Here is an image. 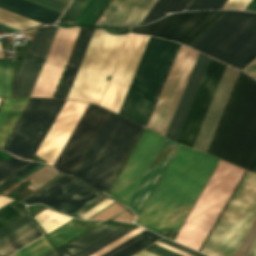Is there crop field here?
Listing matches in <instances>:
<instances>
[{
    "instance_id": "obj_57",
    "label": "crop field",
    "mask_w": 256,
    "mask_h": 256,
    "mask_svg": "<svg viewBox=\"0 0 256 256\" xmlns=\"http://www.w3.org/2000/svg\"><path fill=\"white\" fill-rule=\"evenodd\" d=\"M0 25L3 26V27H6V28H8V29H11V30H13V31H18L17 29H15V28H13V27H11V26L5 25V24H3V23H0Z\"/></svg>"
},
{
    "instance_id": "obj_61",
    "label": "crop field",
    "mask_w": 256,
    "mask_h": 256,
    "mask_svg": "<svg viewBox=\"0 0 256 256\" xmlns=\"http://www.w3.org/2000/svg\"><path fill=\"white\" fill-rule=\"evenodd\" d=\"M1 99V98H0Z\"/></svg>"
},
{
    "instance_id": "obj_60",
    "label": "crop field",
    "mask_w": 256,
    "mask_h": 256,
    "mask_svg": "<svg viewBox=\"0 0 256 256\" xmlns=\"http://www.w3.org/2000/svg\"><path fill=\"white\" fill-rule=\"evenodd\" d=\"M3 99H4V98H2V99H1V101H0V105H1V103H2V101H3Z\"/></svg>"
},
{
    "instance_id": "obj_41",
    "label": "crop field",
    "mask_w": 256,
    "mask_h": 256,
    "mask_svg": "<svg viewBox=\"0 0 256 256\" xmlns=\"http://www.w3.org/2000/svg\"><path fill=\"white\" fill-rule=\"evenodd\" d=\"M144 229L142 228H137L134 231L128 233L127 235L123 236L122 238L116 240L115 242L111 243L110 245L106 246L105 248L99 250L98 252L94 253L91 256H100L101 254L107 252L108 250L114 248L115 246L119 245L120 243L126 241L127 239L133 237L134 235L138 234L139 232L143 231Z\"/></svg>"
},
{
    "instance_id": "obj_54",
    "label": "crop field",
    "mask_w": 256,
    "mask_h": 256,
    "mask_svg": "<svg viewBox=\"0 0 256 256\" xmlns=\"http://www.w3.org/2000/svg\"><path fill=\"white\" fill-rule=\"evenodd\" d=\"M13 199L0 196V207L12 201Z\"/></svg>"
},
{
    "instance_id": "obj_48",
    "label": "crop field",
    "mask_w": 256,
    "mask_h": 256,
    "mask_svg": "<svg viewBox=\"0 0 256 256\" xmlns=\"http://www.w3.org/2000/svg\"><path fill=\"white\" fill-rule=\"evenodd\" d=\"M242 70L247 72L249 75L256 79V58H254L247 66H245Z\"/></svg>"
},
{
    "instance_id": "obj_15",
    "label": "crop field",
    "mask_w": 256,
    "mask_h": 256,
    "mask_svg": "<svg viewBox=\"0 0 256 256\" xmlns=\"http://www.w3.org/2000/svg\"><path fill=\"white\" fill-rule=\"evenodd\" d=\"M80 29H58L30 97L53 96Z\"/></svg>"
},
{
    "instance_id": "obj_6",
    "label": "crop field",
    "mask_w": 256,
    "mask_h": 256,
    "mask_svg": "<svg viewBox=\"0 0 256 256\" xmlns=\"http://www.w3.org/2000/svg\"><path fill=\"white\" fill-rule=\"evenodd\" d=\"M152 39L153 38L150 37L148 40L128 91L118 112L119 114L142 125L146 120V117L149 113L151 105L154 101L156 93L159 89L177 44L158 38H154L153 41Z\"/></svg>"
},
{
    "instance_id": "obj_18",
    "label": "crop field",
    "mask_w": 256,
    "mask_h": 256,
    "mask_svg": "<svg viewBox=\"0 0 256 256\" xmlns=\"http://www.w3.org/2000/svg\"><path fill=\"white\" fill-rule=\"evenodd\" d=\"M86 106V103L66 101L36 155L53 166Z\"/></svg>"
},
{
    "instance_id": "obj_32",
    "label": "crop field",
    "mask_w": 256,
    "mask_h": 256,
    "mask_svg": "<svg viewBox=\"0 0 256 256\" xmlns=\"http://www.w3.org/2000/svg\"><path fill=\"white\" fill-rule=\"evenodd\" d=\"M0 97H12V62L1 58Z\"/></svg>"
},
{
    "instance_id": "obj_49",
    "label": "crop field",
    "mask_w": 256,
    "mask_h": 256,
    "mask_svg": "<svg viewBox=\"0 0 256 256\" xmlns=\"http://www.w3.org/2000/svg\"><path fill=\"white\" fill-rule=\"evenodd\" d=\"M45 165H46V164L41 163V164L37 165L36 167H34L33 169H31V170H29L28 172H26L25 174H23V175H21V176L15 178V179H14L13 181H11V182L14 184V183L18 182L19 180L25 178L26 176L30 175L31 173L35 172L36 170L42 168V167L45 166Z\"/></svg>"
},
{
    "instance_id": "obj_37",
    "label": "crop field",
    "mask_w": 256,
    "mask_h": 256,
    "mask_svg": "<svg viewBox=\"0 0 256 256\" xmlns=\"http://www.w3.org/2000/svg\"><path fill=\"white\" fill-rule=\"evenodd\" d=\"M10 206L0 211V229L22 217L20 213Z\"/></svg>"
},
{
    "instance_id": "obj_10",
    "label": "crop field",
    "mask_w": 256,
    "mask_h": 256,
    "mask_svg": "<svg viewBox=\"0 0 256 256\" xmlns=\"http://www.w3.org/2000/svg\"><path fill=\"white\" fill-rule=\"evenodd\" d=\"M197 54L193 50L180 46L147 125L148 127L165 134Z\"/></svg>"
},
{
    "instance_id": "obj_4",
    "label": "crop field",
    "mask_w": 256,
    "mask_h": 256,
    "mask_svg": "<svg viewBox=\"0 0 256 256\" xmlns=\"http://www.w3.org/2000/svg\"><path fill=\"white\" fill-rule=\"evenodd\" d=\"M188 46L241 69L256 55V14L225 11Z\"/></svg>"
},
{
    "instance_id": "obj_13",
    "label": "crop field",
    "mask_w": 256,
    "mask_h": 256,
    "mask_svg": "<svg viewBox=\"0 0 256 256\" xmlns=\"http://www.w3.org/2000/svg\"><path fill=\"white\" fill-rule=\"evenodd\" d=\"M148 38L144 35L128 36L101 106L118 112Z\"/></svg>"
},
{
    "instance_id": "obj_35",
    "label": "crop field",
    "mask_w": 256,
    "mask_h": 256,
    "mask_svg": "<svg viewBox=\"0 0 256 256\" xmlns=\"http://www.w3.org/2000/svg\"><path fill=\"white\" fill-rule=\"evenodd\" d=\"M0 18L6 21L12 22L14 24H17L19 26H22L24 28L40 25L39 23H36L20 15H17L15 13H12L3 9H0Z\"/></svg>"
},
{
    "instance_id": "obj_46",
    "label": "crop field",
    "mask_w": 256,
    "mask_h": 256,
    "mask_svg": "<svg viewBox=\"0 0 256 256\" xmlns=\"http://www.w3.org/2000/svg\"><path fill=\"white\" fill-rule=\"evenodd\" d=\"M250 0H228L223 8L245 9Z\"/></svg>"
},
{
    "instance_id": "obj_59",
    "label": "crop field",
    "mask_w": 256,
    "mask_h": 256,
    "mask_svg": "<svg viewBox=\"0 0 256 256\" xmlns=\"http://www.w3.org/2000/svg\"><path fill=\"white\" fill-rule=\"evenodd\" d=\"M125 210H126V209H125ZM125 210H123L122 212H124ZM122 212H120V213H122ZM120 213H119V214H120ZM119 214H117V215H119ZM117 215H115L114 217H116ZM114 217H112V218H114ZM112 218H111V219H112Z\"/></svg>"
},
{
    "instance_id": "obj_39",
    "label": "crop field",
    "mask_w": 256,
    "mask_h": 256,
    "mask_svg": "<svg viewBox=\"0 0 256 256\" xmlns=\"http://www.w3.org/2000/svg\"><path fill=\"white\" fill-rule=\"evenodd\" d=\"M87 2L88 0H74L62 17L73 22Z\"/></svg>"
},
{
    "instance_id": "obj_51",
    "label": "crop field",
    "mask_w": 256,
    "mask_h": 256,
    "mask_svg": "<svg viewBox=\"0 0 256 256\" xmlns=\"http://www.w3.org/2000/svg\"><path fill=\"white\" fill-rule=\"evenodd\" d=\"M159 241H161V242H163V243H166V244H168V245H171V246H173V247H175V248H178V249H180V250H182V251H185V252H187V253H190V254H192V255H194V256H202V255L197 254V253H195V252H192V251H190V250H188V249H185V248H183V247H180V246H178V245H176V244H173V243H171V242H168V241H166V240H164V239H161V240H159Z\"/></svg>"
},
{
    "instance_id": "obj_55",
    "label": "crop field",
    "mask_w": 256,
    "mask_h": 256,
    "mask_svg": "<svg viewBox=\"0 0 256 256\" xmlns=\"http://www.w3.org/2000/svg\"><path fill=\"white\" fill-rule=\"evenodd\" d=\"M134 256H157V255H154L152 253H149V252L143 250V251H141L140 253H138V254H136Z\"/></svg>"
},
{
    "instance_id": "obj_21",
    "label": "crop field",
    "mask_w": 256,
    "mask_h": 256,
    "mask_svg": "<svg viewBox=\"0 0 256 256\" xmlns=\"http://www.w3.org/2000/svg\"><path fill=\"white\" fill-rule=\"evenodd\" d=\"M177 146L178 143L165 138L140 183L132 194L127 206L133 210L136 216Z\"/></svg>"
},
{
    "instance_id": "obj_5",
    "label": "crop field",
    "mask_w": 256,
    "mask_h": 256,
    "mask_svg": "<svg viewBox=\"0 0 256 256\" xmlns=\"http://www.w3.org/2000/svg\"><path fill=\"white\" fill-rule=\"evenodd\" d=\"M243 172L220 160L174 241L199 251Z\"/></svg>"
},
{
    "instance_id": "obj_31",
    "label": "crop field",
    "mask_w": 256,
    "mask_h": 256,
    "mask_svg": "<svg viewBox=\"0 0 256 256\" xmlns=\"http://www.w3.org/2000/svg\"><path fill=\"white\" fill-rule=\"evenodd\" d=\"M34 217L37 220L38 224L43 227L45 232H48L62 225L65 221L71 218L68 216L60 215L48 208L44 209Z\"/></svg>"
},
{
    "instance_id": "obj_20",
    "label": "crop field",
    "mask_w": 256,
    "mask_h": 256,
    "mask_svg": "<svg viewBox=\"0 0 256 256\" xmlns=\"http://www.w3.org/2000/svg\"><path fill=\"white\" fill-rule=\"evenodd\" d=\"M103 221H81L70 219L34 243L15 252L18 256H45L66 242L85 233Z\"/></svg>"
},
{
    "instance_id": "obj_50",
    "label": "crop field",
    "mask_w": 256,
    "mask_h": 256,
    "mask_svg": "<svg viewBox=\"0 0 256 256\" xmlns=\"http://www.w3.org/2000/svg\"><path fill=\"white\" fill-rule=\"evenodd\" d=\"M106 197L103 196H98L96 199H94L93 201H91L89 204H87L86 206H84L81 210L83 211H88L89 209H91L92 207H94L95 205H97L98 203H100L102 200H104Z\"/></svg>"
},
{
    "instance_id": "obj_62",
    "label": "crop field",
    "mask_w": 256,
    "mask_h": 256,
    "mask_svg": "<svg viewBox=\"0 0 256 256\" xmlns=\"http://www.w3.org/2000/svg\"><path fill=\"white\" fill-rule=\"evenodd\" d=\"M256 170V169H255Z\"/></svg>"
},
{
    "instance_id": "obj_16",
    "label": "crop field",
    "mask_w": 256,
    "mask_h": 256,
    "mask_svg": "<svg viewBox=\"0 0 256 256\" xmlns=\"http://www.w3.org/2000/svg\"><path fill=\"white\" fill-rule=\"evenodd\" d=\"M98 195L100 194L84 184L62 176L24 202L28 204L43 203L61 212L71 214Z\"/></svg>"
},
{
    "instance_id": "obj_56",
    "label": "crop field",
    "mask_w": 256,
    "mask_h": 256,
    "mask_svg": "<svg viewBox=\"0 0 256 256\" xmlns=\"http://www.w3.org/2000/svg\"><path fill=\"white\" fill-rule=\"evenodd\" d=\"M248 256H256V243Z\"/></svg>"
},
{
    "instance_id": "obj_25",
    "label": "crop field",
    "mask_w": 256,
    "mask_h": 256,
    "mask_svg": "<svg viewBox=\"0 0 256 256\" xmlns=\"http://www.w3.org/2000/svg\"><path fill=\"white\" fill-rule=\"evenodd\" d=\"M93 31L92 29H83L56 98H66Z\"/></svg>"
},
{
    "instance_id": "obj_22",
    "label": "crop field",
    "mask_w": 256,
    "mask_h": 256,
    "mask_svg": "<svg viewBox=\"0 0 256 256\" xmlns=\"http://www.w3.org/2000/svg\"><path fill=\"white\" fill-rule=\"evenodd\" d=\"M156 0H113L96 24H139Z\"/></svg>"
},
{
    "instance_id": "obj_36",
    "label": "crop field",
    "mask_w": 256,
    "mask_h": 256,
    "mask_svg": "<svg viewBox=\"0 0 256 256\" xmlns=\"http://www.w3.org/2000/svg\"><path fill=\"white\" fill-rule=\"evenodd\" d=\"M255 230H256V218H255V220L253 221L252 225L250 226L248 232L246 233L244 239L242 240V242H241L240 246L238 247V249H237L236 253L234 254V256H240V255L242 254V252L244 251L245 247H246L247 244L249 243V241H250L252 235L254 234ZM255 234H256V232H255ZM255 234L253 235L252 239L254 238ZM252 239H251V241H252ZM251 241H250V243H251ZM255 241H256V236H255L254 240L252 241L251 245H250V243L248 244V246L250 245L249 248H248V246L246 247L245 251H246L247 248H248V250L246 251V253H245V251H244L241 256H243L244 253H245L244 256H247V255H248V253L250 252L251 248L253 247Z\"/></svg>"
},
{
    "instance_id": "obj_14",
    "label": "crop field",
    "mask_w": 256,
    "mask_h": 256,
    "mask_svg": "<svg viewBox=\"0 0 256 256\" xmlns=\"http://www.w3.org/2000/svg\"><path fill=\"white\" fill-rule=\"evenodd\" d=\"M226 65L210 59L177 141L193 146Z\"/></svg>"
},
{
    "instance_id": "obj_24",
    "label": "crop field",
    "mask_w": 256,
    "mask_h": 256,
    "mask_svg": "<svg viewBox=\"0 0 256 256\" xmlns=\"http://www.w3.org/2000/svg\"><path fill=\"white\" fill-rule=\"evenodd\" d=\"M0 7L42 23L54 22L60 13L26 0H0Z\"/></svg>"
},
{
    "instance_id": "obj_34",
    "label": "crop field",
    "mask_w": 256,
    "mask_h": 256,
    "mask_svg": "<svg viewBox=\"0 0 256 256\" xmlns=\"http://www.w3.org/2000/svg\"><path fill=\"white\" fill-rule=\"evenodd\" d=\"M28 163H30V161L17 159L13 156L8 160L0 158V181Z\"/></svg>"
},
{
    "instance_id": "obj_38",
    "label": "crop field",
    "mask_w": 256,
    "mask_h": 256,
    "mask_svg": "<svg viewBox=\"0 0 256 256\" xmlns=\"http://www.w3.org/2000/svg\"><path fill=\"white\" fill-rule=\"evenodd\" d=\"M57 174L58 173H56L53 169L49 167L41 172L39 175L31 179L30 182L32 184L28 185L27 187L35 190Z\"/></svg>"
},
{
    "instance_id": "obj_44",
    "label": "crop field",
    "mask_w": 256,
    "mask_h": 256,
    "mask_svg": "<svg viewBox=\"0 0 256 256\" xmlns=\"http://www.w3.org/2000/svg\"><path fill=\"white\" fill-rule=\"evenodd\" d=\"M145 250L149 251V252H152L154 254H157L159 256H181V255H178L174 252H171L167 249H164L162 247H159L155 244L149 246L148 248H146Z\"/></svg>"
},
{
    "instance_id": "obj_45",
    "label": "crop field",
    "mask_w": 256,
    "mask_h": 256,
    "mask_svg": "<svg viewBox=\"0 0 256 256\" xmlns=\"http://www.w3.org/2000/svg\"><path fill=\"white\" fill-rule=\"evenodd\" d=\"M112 202H114V201L109 199V198H107L103 202L98 204L96 207L91 209L89 212H87L84 215H82L81 217L82 218H90L91 216H93L94 214H96L97 212H99L100 210H102L103 208H105L106 206L111 204Z\"/></svg>"
},
{
    "instance_id": "obj_29",
    "label": "crop field",
    "mask_w": 256,
    "mask_h": 256,
    "mask_svg": "<svg viewBox=\"0 0 256 256\" xmlns=\"http://www.w3.org/2000/svg\"><path fill=\"white\" fill-rule=\"evenodd\" d=\"M159 236L145 230L102 256H128Z\"/></svg>"
},
{
    "instance_id": "obj_2",
    "label": "crop field",
    "mask_w": 256,
    "mask_h": 256,
    "mask_svg": "<svg viewBox=\"0 0 256 256\" xmlns=\"http://www.w3.org/2000/svg\"><path fill=\"white\" fill-rule=\"evenodd\" d=\"M209 153L249 170L256 159V81L245 73Z\"/></svg>"
},
{
    "instance_id": "obj_43",
    "label": "crop field",
    "mask_w": 256,
    "mask_h": 256,
    "mask_svg": "<svg viewBox=\"0 0 256 256\" xmlns=\"http://www.w3.org/2000/svg\"><path fill=\"white\" fill-rule=\"evenodd\" d=\"M123 209H125L123 206L115 202L111 206H109L107 209H105L103 212L101 213L99 212L100 214L96 215L95 217L108 219Z\"/></svg>"
},
{
    "instance_id": "obj_3",
    "label": "crop field",
    "mask_w": 256,
    "mask_h": 256,
    "mask_svg": "<svg viewBox=\"0 0 256 256\" xmlns=\"http://www.w3.org/2000/svg\"><path fill=\"white\" fill-rule=\"evenodd\" d=\"M141 128L109 111L73 176L105 192Z\"/></svg>"
},
{
    "instance_id": "obj_1",
    "label": "crop field",
    "mask_w": 256,
    "mask_h": 256,
    "mask_svg": "<svg viewBox=\"0 0 256 256\" xmlns=\"http://www.w3.org/2000/svg\"><path fill=\"white\" fill-rule=\"evenodd\" d=\"M217 162L179 145L135 222L160 235L178 232Z\"/></svg>"
},
{
    "instance_id": "obj_47",
    "label": "crop field",
    "mask_w": 256,
    "mask_h": 256,
    "mask_svg": "<svg viewBox=\"0 0 256 256\" xmlns=\"http://www.w3.org/2000/svg\"><path fill=\"white\" fill-rule=\"evenodd\" d=\"M39 163H35L32 162L30 165L26 166L25 168L19 170L18 172L14 173L13 175L9 176L8 178H6L5 180H3L2 182H0V187L2 185H4L5 183H7L8 181H10L11 179L21 175L22 173L26 172L27 170L31 169L32 167L36 166Z\"/></svg>"
},
{
    "instance_id": "obj_28",
    "label": "crop field",
    "mask_w": 256,
    "mask_h": 256,
    "mask_svg": "<svg viewBox=\"0 0 256 256\" xmlns=\"http://www.w3.org/2000/svg\"><path fill=\"white\" fill-rule=\"evenodd\" d=\"M119 226L101 224L48 256H69Z\"/></svg>"
},
{
    "instance_id": "obj_19",
    "label": "crop field",
    "mask_w": 256,
    "mask_h": 256,
    "mask_svg": "<svg viewBox=\"0 0 256 256\" xmlns=\"http://www.w3.org/2000/svg\"><path fill=\"white\" fill-rule=\"evenodd\" d=\"M56 29L54 26H48L36 30L30 49L16 79L15 96H29Z\"/></svg>"
},
{
    "instance_id": "obj_58",
    "label": "crop field",
    "mask_w": 256,
    "mask_h": 256,
    "mask_svg": "<svg viewBox=\"0 0 256 256\" xmlns=\"http://www.w3.org/2000/svg\"><path fill=\"white\" fill-rule=\"evenodd\" d=\"M0 22H3V23H5V24H8V25H11V26H13V27H15V28H17V29H23V28H21V27H19V26H16V25H13V24H11V23H8V22H5V21H3V20H0Z\"/></svg>"
},
{
    "instance_id": "obj_33",
    "label": "crop field",
    "mask_w": 256,
    "mask_h": 256,
    "mask_svg": "<svg viewBox=\"0 0 256 256\" xmlns=\"http://www.w3.org/2000/svg\"><path fill=\"white\" fill-rule=\"evenodd\" d=\"M128 231L129 230L119 227L118 229L112 231L111 233L93 242L92 244L88 245L87 247L81 249L80 251L74 253L71 256H88L89 254L93 253L94 251L98 250L99 248L115 240L116 238L120 237Z\"/></svg>"
},
{
    "instance_id": "obj_12",
    "label": "crop field",
    "mask_w": 256,
    "mask_h": 256,
    "mask_svg": "<svg viewBox=\"0 0 256 256\" xmlns=\"http://www.w3.org/2000/svg\"><path fill=\"white\" fill-rule=\"evenodd\" d=\"M108 110L88 104L85 112L54 164L57 170L72 176Z\"/></svg>"
},
{
    "instance_id": "obj_30",
    "label": "crop field",
    "mask_w": 256,
    "mask_h": 256,
    "mask_svg": "<svg viewBox=\"0 0 256 256\" xmlns=\"http://www.w3.org/2000/svg\"><path fill=\"white\" fill-rule=\"evenodd\" d=\"M190 0H158L141 24L153 21L166 12L184 10Z\"/></svg>"
},
{
    "instance_id": "obj_42",
    "label": "crop field",
    "mask_w": 256,
    "mask_h": 256,
    "mask_svg": "<svg viewBox=\"0 0 256 256\" xmlns=\"http://www.w3.org/2000/svg\"><path fill=\"white\" fill-rule=\"evenodd\" d=\"M28 222H30L29 216L26 215L23 218L17 220L16 222L12 223L11 225L7 226L6 228L2 229L0 231V239Z\"/></svg>"
},
{
    "instance_id": "obj_9",
    "label": "crop field",
    "mask_w": 256,
    "mask_h": 256,
    "mask_svg": "<svg viewBox=\"0 0 256 256\" xmlns=\"http://www.w3.org/2000/svg\"><path fill=\"white\" fill-rule=\"evenodd\" d=\"M65 101L32 98L4 150L32 159Z\"/></svg>"
},
{
    "instance_id": "obj_53",
    "label": "crop field",
    "mask_w": 256,
    "mask_h": 256,
    "mask_svg": "<svg viewBox=\"0 0 256 256\" xmlns=\"http://www.w3.org/2000/svg\"><path fill=\"white\" fill-rule=\"evenodd\" d=\"M60 176H61L60 174L57 175L54 179L50 180L49 182H47L46 184H44L43 186H41V187H40L39 189H37L34 193H32V194L30 193V194H31V195L29 194L30 196H29V195H27V196L31 197L32 195L36 194L38 191H40L41 189H43L45 186H47L48 184H50L52 181H54L55 179L59 178ZM27 196H26V197H27ZM29 197H27V198H29ZM27 198H25V199H27ZM25 199H23V200H25ZM23 200H22V201H23Z\"/></svg>"
},
{
    "instance_id": "obj_52",
    "label": "crop field",
    "mask_w": 256,
    "mask_h": 256,
    "mask_svg": "<svg viewBox=\"0 0 256 256\" xmlns=\"http://www.w3.org/2000/svg\"><path fill=\"white\" fill-rule=\"evenodd\" d=\"M155 244H157V245H159V246H162V247H164V248H167V249H169V250H171V251H174V252H176V253H178V254H181V255H183V256H192V255L187 254V253H185V252H182V251H180V250H178V249H175V248H173V247H171V246H168V245H166V244H163V243H161V242H159V241L155 242Z\"/></svg>"
},
{
    "instance_id": "obj_40",
    "label": "crop field",
    "mask_w": 256,
    "mask_h": 256,
    "mask_svg": "<svg viewBox=\"0 0 256 256\" xmlns=\"http://www.w3.org/2000/svg\"><path fill=\"white\" fill-rule=\"evenodd\" d=\"M226 0H194L187 10L203 8H221Z\"/></svg>"
},
{
    "instance_id": "obj_23",
    "label": "crop field",
    "mask_w": 256,
    "mask_h": 256,
    "mask_svg": "<svg viewBox=\"0 0 256 256\" xmlns=\"http://www.w3.org/2000/svg\"><path fill=\"white\" fill-rule=\"evenodd\" d=\"M209 57L199 54L198 59L196 61V64L194 66V69L192 71V74L189 78V81L187 83V86L185 88V91L183 93V96L181 98V101L179 103V106L177 108V111L175 113V116L172 120V123L170 125V128L167 133V137L173 139L176 141V138L178 136V133L181 129V126L183 124V121L186 117V114L188 112V109L191 105V102L193 100V97L195 95V92L198 88V85L200 83V80L203 76V73L205 71V68L208 64Z\"/></svg>"
},
{
    "instance_id": "obj_27",
    "label": "crop field",
    "mask_w": 256,
    "mask_h": 256,
    "mask_svg": "<svg viewBox=\"0 0 256 256\" xmlns=\"http://www.w3.org/2000/svg\"><path fill=\"white\" fill-rule=\"evenodd\" d=\"M41 232L30 222L0 240V256H7L37 237Z\"/></svg>"
},
{
    "instance_id": "obj_11",
    "label": "crop field",
    "mask_w": 256,
    "mask_h": 256,
    "mask_svg": "<svg viewBox=\"0 0 256 256\" xmlns=\"http://www.w3.org/2000/svg\"><path fill=\"white\" fill-rule=\"evenodd\" d=\"M163 140L164 137L145 128L108 195L126 205Z\"/></svg>"
},
{
    "instance_id": "obj_26",
    "label": "crop field",
    "mask_w": 256,
    "mask_h": 256,
    "mask_svg": "<svg viewBox=\"0 0 256 256\" xmlns=\"http://www.w3.org/2000/svg\"><path fill=\"white\" fill-rule=\"evenodd\" d=\"M29 98H5L0 107V148Z\"/></svg>"
},
{
    "instance_id": "obj_17",
    "label": "crop field",
    "mask_w": 256,
    "mask_h": 256,
    "mask_svg": "<svg viewBox=\"0 0 256 256\" xmlns=\"http://www.w3.org/2000/svg\"><path fill=\"white\" fill-rule=\"evenodd\" d=\"M220 12L205 11L174 14L151 25L133 28L131 32L151 34L185 44L197 35Z\"/></svg>"
},
{
    "instance_id": "obj_7",
    "label": "crop field",
    "mask_w": 256,
    "mask_h": 256,
    "mask_svg": "<svg viewBox=\"0 0 256 256\" xmlns=\"http://www.w3.org/2000/svg\"><path fill=\"white\" fill-rule=\"evenodd\" d=\"M256 216V173L247 171L201 253L233 256Z\"/></svg>"
},
{
    "instance_id": "obj_8",
    "label": "crop field",
    "mask_w": 256,
    "mask_h": 256,
    "mask_svg": "<svg viewBox=\"0 0 256 256\" xmlns=\"http://www.w3.org/2000/svg\"><path fill=\"white\" fill-rule=\"evenodd\" d=\"M126 36L94 31L66 99L99 103Z\"/></svg>"
}]
</instances>
